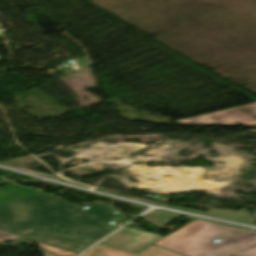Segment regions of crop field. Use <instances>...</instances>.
Instances as JSON below:
<instances>
[{
  "instance_id": "obj_2",
  "label": "crop field",
  "mask_w": 256,
  "mask_h": 256,
  "mask_svg": "<svg viewBox=\"0 0 256 256\" xmlns=\"http://www.w3.org/2000/svg\"><path fill=\"white\" fill-rule=\"evenodd\" d=\"M245 230L194 221L156 244L188 256H256V232L222 238L218 243L211 239L236 234Z\"/></svg>"
},
{
  "instance_id": "obj_3",
  "label": "crop field",
  "mask_w": 256,
  "mask_h": 256,
  "mask_svg": "<svg viewBox=\"0 0 256 256\" xmlns=\"http://www.w3.org/2000/svg\"><path fill=\"white\" fill-rule=\"evenodd\" d=\"M173 123L191 125H243L256 127V103L226 109Z\"/></svg>"
},
{
  "instance_id": "obj_7",
  "label": "crop field",
  "mask_w": 256,
  "mask_h": 256,
  "mask_svg": "<svg viewBox=\"0 0 256 256\" xmlns=\"http://www.w3.org/2000/svg\"><path fill=\"white\" fill-rule=\"evenodd\" d=\"M41 192L43 191L39 189L31 190L27 187L15 185V184L8 185L0 188V204L17 200L30 195H34L37 193H41Z\"/></svg>"
},
{
  "instance_id": "obj_11",
  "label": "crop field",
  "mask_w": 256,
  "mask_h": 256,
  "mask_svg": "<svg viewBox=\"0 0 256 256\" xmlns=\"http://www.w3.org/2000/svg\"><path fill=\"white\" fill-rule=\"evenodd\" d=\"M43 256H53V255H51V254L45 252V253L43 254Z\"/></svg>"
},
{
  "instance_id": "obj_8",
  "label": "crop field",
  "mask_w": 256,
  "mask_h": 256,
  "mask_svg": "<svg viewBox=\"0 0 256 256\" xmlns=\"http://www.w3.org/2000/svg\"><path fill=\"white\" fill-rule=\"evenodd\" d=\"M143 217H145L146 219H148L149 221H151L157 226H165L171 223L172 221L176 220L177 218H179V217H175V216L160 213V212H153V213L144 215Z\"/></svg>"
},
{
  "instance_id": "obj_10",
  "label": "crop field",
  "mask_w": 256,
  "mask_h": 256,
  "mask_svg": "<svg viewBox=\"0 0 256 256\" xmlns=\"http://www.w3.org/2000/svg\"><path fill=\"white\" fill-rule=\"evenodd\" d=\"M18 238V236H13L10 234H6L3 232H0V244L5 243V242H10Z\"/></svg>"
},
{
  "instance_id": "obj_1",
  "label": "crop field",
  "mask_w": 256,
  "mask_h": 256,
  "mask_svg": "<svg viewBox=\"0 0 256 256\" xmlns=\"http://www.w3.org/2000/svg\"><path fill=\"white\" fill-rule=\"evenodd\" d=\"M73 205L45 193L0 205V230L16 232L34 226L50 233L98 241L124 223L110 228L104 221L115 217L106 204Z\"/></svg>"
},
{
  "instance_id": "obj_5",
  "label": "crop field",
  "mask_w": 256,
  "mask_h": 256,
  "mask_svg": "<svg viewBox=\"0 0 256 256\" xmlns=\"http://www.w3.org/2000/svg\"><path fill=\"white\" fill-rule=\"evenodd\" d=\"M15 235L21 236L26 239L34 240L40 243H44L59 249H63L72 253H79L86 247L90 246L92 243L65 236L50 235L36 229H28L20 231Z\"/></svg>"
},
{
  "instance_id": "obj_9",
  "label": "crop field",
  "mask_w": 256,
  "mask_h": 256,
  "mask_svg": "<svg viewBox=\"0 0 256 256\" xmlns=\"http://www.w3.org/2000/svg\"><path fill=\"white\" fill-rule=\"evenodd\" d=\"M36 245L40 246L42 249H44L46 251L53 252L59 256H76L75 254H72V253H69V252H66L63 250H59V249H56V248H53V247H50L47 245H43V244H39V243H37Z\"/></svg>"
},
{
  "instance_id": "obj_4",
  "label": "crop field",
  "mask_w": 256,
  "mask_h": 256,
  "mask_svg": "<svg viewBox=\"0 0 256 256\" xmlns=\"http://www.w3.org/2000/svg\"><path fill=\"white\" fill-rule=\"evenodd\" d=\"M162 237L144 231L123 228L102 242V244L138 252Z\"/></svg>"
},
{
  "instance_id": "obj_6",
  "label": "crop field",
  "mask_w": 256,
  "mask_h": 256,
  "mask_svg": "<svg viewBox=\"0 0 256 256\" xmlns=\"http://www.w3.org/2000/svg\"><path fill=\"white\" fill-rule=\"evenodd\" d=\"M82 256H183L167 249L152 245L139 253H131L105 245H97Z\"/></svg>"
}]
</instances>
